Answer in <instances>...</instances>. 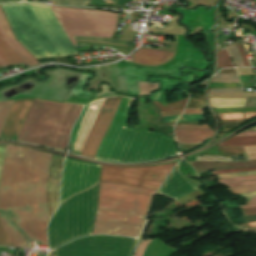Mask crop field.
Returning <instances> with one entry per match:
<instances>
[{
    "mask_svg": "<svg viewBox=\"0 0 256 256\" xmlns=\"http://www.w3.org/2000/svg\"><path fill=\"white\" fill-rule=\"evenodd\" d=\"M52 156L7 145L0 180V220L14 246L32 248L30 240L48 246L46 186Z\"/></svg>",
    "mask_w": 256,
    "mask_h": 256,
    "instance_id": "crop-field-1",
    "label": "crop field"
},
{
    "mask_svg": "<svg viewBox=\"0 0 256 256\" xmlns=\"http://www.w3.org/2000/svg\"><path fill=\"white\" fill-rule=\"evenodd\" d=\"M99 188L153 196L145 188L99 182ZM94 187L72 196L60 205L48 227L50 249L78 237L95 234L93 220L96 209L147 214L152 197L115 192ZM96 210L94 221L126 223L143 226L147 215Z\"/></svg>",
    "mask_w": 256,
    "mask_h": 256,
    "instance_id": "crop-field-2",
    "label": "crop field"
},
{
    "mask_svg": "<svg viewBox=\"0 0 256 256\" xmlns=\"http://www.w3.org/2000/svg\"><path fill=\"white\" fill-rule=\"evenodd\" d=\"M1 6L17 40L36 58L77 53L49 5L22 3Z\"/></svg>",
    "mask_w": 256,
    "mask_h": 256,
    "instance_id": "crop-field-3",
    "label": "crop field"
},
{
    "mask_svg": "<svg viewBox=\"0 0 256 256\" xmlns=\"http://www.w3.org/2000/svg\"><path fill=\"white\" fill-rule=\"evenodd\" d=\"M130 100L122 98L94 159L111 162H143L177 154L175 143L168 136L123 127Z\"/></svg>",
    "mask_w": 256,
    "mask_h": 256,
    "instance_id": "crop-field-4",
    "label": "crop field"
},
{
    "mask_svg": "<svg viewBox=\"0 0 256 256\" xmlns=\"http://www.w3.org/2000/svg\"><path fill=\"white\" fill-rule=\"evenodd\" d=\"M82 108L83 106L36 99L17 140L65 149Z\"/></svg>",
    "mask_w": 256,
    "mask_h": 256,
    "instance_id": "crop-field-5",
    "label": "crop field"
},
{
    "mask_svg": "<svg viewBox=\"0 0 256 256\" xmlns=\"http://www.w3.org/2000/svg\"><path fill=\"white\" fill-rule=\"evenodd\" d=\"M50 7L53 11L58 12L118 17V14L103 11L60 8L54 6ZM58 12H54V14L58 18L73 45H76V42L74 41L72 35L101 36L111 38L117 26V18Z\"/></svg>",
    "mask_w": 256,
    "mask_h": 256,
    "instance_id": "crop-field-6",
    "label": "crop field"
},
{
    "mask_svg": "<svg viewBox=\"0 0 256 256\" xmlns=\"http://www.w3.org/2000/svg\"><path fill=\"white\" fill-rule=\"evenodd\" d=\"M136 238L91 236L54 250L55 256H132Z\"/></svg>",
    "mask_w": 256,
    "mask_h": 256,
    "instance_id": "crop-field-7",
    "label": "crop field"
},
{
    "mask_svg": "<svg viewBox=\"0 0 256 256\" xmlns=\"http://www.w3.org/2000/svg\"><path fill=\"white\" fill-rule=\"evenodd\" d=\"M148 167H116L102 165L100 181L127 184L158 190L176 164Z\"/></svg>",
    "mask_w": 256,
    "mask_h": 256,
    "instance_id": "crop-field-8",
    "label": "crop field"
},
{
    "mask_svg": "<svg viewBox=\"0 0 256 256\" xmlns=\"http://www.w3.org/2000/svg\"><path fill=\"white\" fill-rule=\"evenodd\" d=\"M101 165L65 159L60 203L98 182Z\"/></svg>",
    "mask_w": 256,
    "mask_h": 256,
    "instance_id": "crop-field-9",
    "label": "crop field"
},
{
    "mask_svg": "<svg viewBox=\"0 0 256 256\" xmlns=\"http://www.w3.org/2000/svg\"><path fill=\"white\" fill-rule=\"evenodd\" d=\"M122 97H113L105 100L95 122L92 127V130L85 142L82 156L88 158H94L96 150L105 135L110 122L113 118V115L116 111V108Z\"/></svg>",
    "mask_w": 256,
    "mask_h": 256,
    "instance_id": "crop-field-10",
    "label": "crop field"
},
{
    "mask_svg": "<svg viewBox=\"0 0 256 256\" xmlns=\"http://www.w3.org/2000/svg\"><path fill=\"white\" fill-rule=\"evenodd\" d=\"M0 21L2 26L10 40V42L32 63H38L14 38L10 27L4 17V14L0 8ZM0 24V51L13 63H26L32 65L8 40L3 28ZM0 52V65H11L12 63Z\"/></svg>",
    "mask_w": 256,
    "mask_h": 256,
    "instance_id": "crop-field-11",
    "label": "crop field"
},
{
    "mask_svg": "<svg viewBox=\"0 0 256 256\" xmlns=\"http://www.w3.org/2000/svg\"><path fill=\"white\" fill-rule=\"evenodd\" d=\"M103 101L104 99L95 100L85 106L78 122L72 131L71 148L73 152L80 155L83 144Z\"/></svg>",
    "mask_w": 256,
    "mask_h": 256,
    "instance_id": "crop-field-12",
    "label": "crop field"
},
{
    "mask_svg": "<svg viewBox=\"0 0 256 256\" xmlns=\"http://www.w3.org/2000/svg\"><path fill=\"white\" fill-rule=\"evenodd\" d=\"M34 99L15 100L5 121L0 139H17L20 127Z\"/></svg>",
    "mask_w": 256,
    "mask_h": 256,
    "instance_id": "crop-field-13",
    "label": "crop field"
},
{
    "mask_svg": "<svg viewBox=\"0 0 256 256\" xmlns=\"http://www.w3.org/2000/svg\"><path fill=\"white\" fill-rule=\"evenodd\" d=\"M196 189L197 187L183 175L179 164H177L175 169L160 187L158 194L177 200Z\"/></svg>",
    "mask_w": 256,
    "mask_h": 256,
    "instance_id": "crop-field-14",
    "label": "crop field"
},
{
    "mask_svg": "<svg viewBox=\"0 0 256 256\" xmlns=\"http://www.w3.org/2000/svg\"><path fill=\"white\" fill-rule=\"evenodd\" d=\"M96 234H117L137 237L142 229L140 226L94 222Z\"/></svg>",
    "mask_w": 256,
    "mask_h": 256,
    "instance_id": "crop-field-15",
    "label": "crop field"
},
{
    "mask_svg": "<svg viewBox=\"0 0 256 256\" xmlns=\"http://www.w3.org/2000/svg\"><path fill=\"white\" fill-rule=\"evenodd\" d=\"M173 53L141 48L132 55L133 61L143 64H160L171 59Z\"/></svg>",
    "mask_w": 256,
    "mask_h": 256,
    "instance_id": "crop-field-16",
    "label": "crop field"
},
{
    "mask_svg": "<svg viewBox=\"0 0 256 256\" xmlns=\"http://www.w3.org/2000/svg\"><path fill=\"white\" fill-rule=\"evenodd\" d=\"M214 130H175L179 143L201 144L205 139L211 138Z\"/></svg>",
    "mask_w": 256,
    "mask_h": 256,
    "instance_id": "crop-field-17",
    "label": "crop field"
},
{
    "mask_svg": "<svg viewBox=\"0 0 256 256\" xmlns=\"http://www.w3.org/2000/svg\"><path fill=\"white\" fill-rule=\"evenodd\" d=\"M195 169L196 172H202L206 170H220V169H230V168H247L256 166L255 161L241 162V163H221V162H188Z\"/></svg>",
    "mask_w": 256,
    "mask_h": 256,
    "instance_id": "crop-field-18",
    "label": "crop field"
},
{
    "mask_svg": "<svg viewBox=\"0 0 256 256\" xmlns=\"http://www.w3.org/2000/svg\"><path fill=\"white\" fill-rule=\"evenodd\" d=\"M210 104L214 108H228V107H244L246 104V98L241 99H219L209 98Z\"/></svg>",
    "mask_w": 256,
    "mask_h": 256,
    "instance_id": "crop-field-19",
    "label": "crop field"
},
{
    "mask_svg": "<svg viewBox=\"0 0 256 256\" xmlns=\"http://www.w3.org/2000/svg\"><path fill=\"white\" fill-rule=\"evenodd\" d=\"M218 182H219V184H225L228 188L249 185V184L256 183V175L231 178V179H225V180H218Z\"/></svg>",
    "mask_w": 256,
    "mask_h": 256,
    "instance_id": "crop-field-20",
    "label": "crop field"
},
{
    "mask_svg": "<svg viewBox=\"0 0 256 256\" xmlns=\"http://www.w3.org/2000/svg\"><path fill=\"white\" fill-rule=\"evenodd\" d=\"M228 190L231 191L234 194H237V195L255 193L256 192V185H249V186L231 188V189H228ZM251 207H256V198L249 199L248 202H247V205L240 206V209L251 208Z\"/></svg>",
    "mask_w": 256,
    "mask_h": 256,
    "instance_id": "crop-field-21",
    "label": "crop field"
},
{
    "mask_svg": "<svg viewBox=\"0 0 256 256\" xmlns=\"http://www.w3.org/2000/svg\"><path fill=\"white\" fill-rule=\"evenodd\" d=\"M218 145L224 146H234V145H256V136L253 137H239V138H231L223 143Z\"/></svg>",
    "mask_w": 256,
    "mask_h": 256,
    "instance_id": "crop-field-22",
    "label": "crop field"
},
{
    "mask_svg": "<svg viewBox=\"0 0 256 256\" xmlns=\"http://www.w3.org/2000/svg\"><path fill=\"white\" fill-rule=\"evenodd\" d=\"M186 100H181L173 104L160 105L158 102L152 101L161 111L183 110L186 104Z\"/></svg>",
    "mask_w": 256,
    "mask_h": 256,
    "instance_id": "crop-field-23",
    "label": "crop field"
},
{
    "mask_svg": "<svg viewBox=\"0 0 256 256\" xmlns=\"http://www.w3.org/2000/svg\"><path fill=\"white\" fill-rule=\"evenodd\" d=\"M227 47H228V49L231 53L234 66L235 67H244L243 62H242V58L239 54V51H238L236 45L235 44H230V45H227Z\"/></svg>",
    "mask_w": 256,
    "mask_h": 256,
    "instance_id": "crop-field-24",
    "label": "crop field"
},
{
    "mask_svg": "<svg viewBox=\"0 0 256 256\" xmlns=\"http://www.w3.org/2000/svg\"><path fill=\"white\" fill-rule=\"evenodd\" d=\"M211 82H240L237 74H217Z\"/></svg>",
    "mask_w": 256,
    "mask_h": 256,
    "instance_id": "crop-field-25",
    "label": "crop field"
},
{
    "mask_svg": "<svg viewBox=\"0 0 256 256\" xmlns=\"http://www.w3.org/2000/svg\"><path fill=\"white\" fill-rule=\"evenodd\" d=\"M233 67L229 60V53L227 50L218 52V68Z\"/></svg>",
    "mask_w": 256,
    "mask_h": 256,
    "instance_id": "crop-field-26",
    "label": "crop field"
},
{
    "mask_svg": "<svg viewBox=\"0 0 256 256\" xmlns=\"http://www.w3.org/2000/svg\"><path fill=\"white\" fill-rule=\"evenodd\" d=\"M74 38H75V40H100V41L117 43V44H123V45H129V42H130V41L117 40V39H107V38H100V37H79V36H74Z\"/></svg>",
    "mask_w": 256,
    "mask_h": 256,
    "instance_id": "crop-field-27",
    "label": "crop field"
},
{
    "mask_svg": "<svg viewBox=\"0 0 256 256\" xmlns=\"http://www.w3.org/2000/svg\"><path fill=\"white\" fill-rule=\"evenodd\" d=\"M59 5H78L85 6L90 0H50Z\"/></svg>",
    "mask_w": 256,
    "mask_h": 256,
    "instance_id": "crop-field-28",
    "label": "crop field"
},
{
    "mask_svg": "<svg viewBox=\"0 0 256 256\" xmlns=\"http://www.w3.org/2000/svg\"><path fill=\"white\" fill-rule=\"evenodd\" d=\"M0 245L13 246L10 240L8 239L7 235L5 234L1 223H0Z\"/></svg>",
    "mask_w": 256,
    "mask_h": 256,
    "instance_id": "crop-field-29",
    "label": "crop field"
},
{
    "mask_svg": "<svg viewBox=\"0 0 256 256\" xmlns=\"http://www.w3.org/2000/svg\"><path fill=\"white\" fill-rule=\"evenodd\" d=\"M222 120L244 119L243 113L219 114Z\"/></svg>",
    "mask_w": 256,
    "mask_h": 256,
    "instance_id": "crop-field-30",
    "label": "crop field"
},
{
    "mask_svg": "<svg viewBox=\"0 0 256 256\" xmlns=\"http://www.w3.org/2000/svg\"><path fill=\"white\" fill-rule=\"evenodd\" d=\"M175 129H210L207 124L204 125H176Z\"/></svg>",
    "mask_w": 256,
    "mask_h": 256,
    "instance_id": "crop-field-31",
    "label": "crop field"
},
{
    "mask_svg": "<svg viewBox=\"0 0 256 256\" xmlns=\"http://www.w3.org/2000/svg\"><path fill=\"white\" fill-rule=\"evenodd\" d=\"M252 170H256V167H254V168H247V169H231V170L212 171V173H213V175H215V174L243 172V171H252Z\"/></svg>",
    "mask_w": 256,
    "mask_h": 256,
    "instance_id": "crop-field-32",
    "label": "crop field"
},
{
    "mask_svg": "<svg viewBox=\"0 0 256 256\" xmlns=\"http://www.w3.org/2000/svg\"><path fill=\"white\" fill-rule=\"evenodd\" d=\"M232 92H243L241 88L235 89H210L209 93H232Z\"/></svg>",
    "mask_w": 256,
    "mask_h": 256,
    "instance_id": "crop-field-33",
    "label": "crop field"
},
{
    "mask_svg": "<svg viewBox=\"0 0 256 256\" xmlns=\"http://www.w3.org/2000/svg\"><path fill=\"white\" fill-rule=\"evenodd\" d=\"M253 174H256V171L247 172V173L217 175V177L218 179H220V178H231V177H238V176H245V175H253Z\"/></svg>",
    "mask_w": 256,
    "mask_h": 256,
    "instance_id": "crop-field-34",
    "label": "crop field"
},
{
    "mask_svg": "<svg viewBox=\"0 0 256 256\" xmlns=\"http://www.w3.org/2000/svg\"><path fill=\"white\" fill-rule=\"evenodd\" d=\"M152 240H153V239L143 241V242L141 243V245L138 247L135 256H142L146 245L149 244Z\"/></svg>",
    "mask_w": 256,
    "mask_h": 256,
    "instance_id": "crop-field-35",
    "label": "crop field"
},
{
    "mask_svg": "<svg viewBox=\"0 0 256 256\" xmlns=\"http://www.w3.org/2000/svg\"><path fill=\"white\" fill-rule=\"evenodd\" d=\"M237 46H238L239 51H240V53H241V56H242V58H243L245 67H249L248 59H247V57H246V54H245V52H244L243 47H242L241 45H237Z\"/></svg>",
    "mask_w": 256,
    "mask_h": 256,
    "instance_id": "crop-field-36",
    "label": "crop field"
},
{
    "mask_svg": "<svg viewBox=\"0 0 256 256\" xmlns=\"http://www.w3.org/2000/svg\"><path fill=\"white\" fill-rule=\"evenodd\" d=\"M244 216L256 214V208L241 210Z\"/></svg>",
    "mask_w": 256,
    "mask_h": 256,
    "instance_id": "crop-field-37",
    "label": "crop field"
},
{
    "mask_svg": "<svg viewBox=\"0 0 256 256\" xmlns=\"http://www.w3.org/2000/svg\"><path fill=\"white\" fill-rule=\"evenodd\" d=\"M247 106L246 107H255L256 106V98H247Z\"/></svg>",
    "mask_w": 256,
    "mask_h": 256,
    "instance_id": "crop-field-38",
    "label": "crop field"
},
{
    "mask_svg": "<svg viewBox=\"0 0 256 256\" xmlns=\"http://www.w3.org/2000/svg\"><path fill=\"white\" fill-rule=\"evenodd\" d=\"M202 113V109H186L183 114Z\"/></svg>",
    "mask_w": 256,
    "mask_h": 256,
    "instance_id": "crop-field-39",
    "label": "crop field"
},
{
    "mask_svg": "<svg viewBox=\"0 0 256 256\" xmlns=\"http://www.w3.org/2000/svg\"><path fill=\"white\" fill-rule=\"evenodd\" d=\"M182 111L162 112L161 116L181 114Z\"/></svg>",
    "mask_w": 256,
    "mask_h": 256,
    "instance_id": "crop-field-40",
    "label": "crop field"
},
{
    "mask_svg": "<svg viewBox=\"0 0 256 256\" xmlns=\"http://www.w3.org/2000/svg\"><path fill=\"white\" fill-rule=\"evenodd\" d=\"M248 135H256V132L255 131L243 132L237 136H248ZM237 136H235V137H237Z\"/></svg>",
    "mask_w": 256,
    "mask_h": 256,
    "instance_id": "crop-field-41",
    "label": "crop field"
},
{
    "mask_svg": "<svg viewBox=\"0 0 256 256\" xmlns=\"http://www.w3.org/2000/svg\"><path fill=\"white\" fill-rule=\"evenodd\" d=\"M256 117V112L255 113H245V119Z\"/></svg>",
    "mask_w": 256,
    "mask_h": 256,
    "instance_id": "crop-field-42",
    "label": "crop field"
},
{
    "mask_svg": "<svg viewBox=\"0 0 256 256\" xmlns=\"http://www.w3.org/2000/svg\"><path fill=\"white\" fill-rule=\"evenodd\" d=\"M249 227L256 226V222L248 223Z\"/></svg>",
    "mask_w": 256,
    "mask_h": 256,
    "instance_id": "crop-field-43",
    "label": "crop field"
},
{
    "mask_svg": "<svg viewBox=\"0 0 256 256\" xmlns=\"http://www.w3.org/2000/svg\"><path fill=\"white\" fill-rule=\"evenodd\" d=\"M11 1H17V0H0V3L1 2H11Z\"/></svg>",
    "mask_w": 256,
    "mask_h": 256,
    "instance_id": "crop-field-44",
    "label": "crop field"
},
{
    "mask_svg": "<svg viewBox=\"0 0 256 256\" xmlns=\"http://www.w3.org/2000/svg\"><path fill=\"white\" fill-rule=\"evenodd\" d=\"M256 130V128H254Z\"/></svg>",
    "mask_w": 256,
    "mask_h": 256,
    "instance_id": "crop-field-45",
    "label": "crop field"
}]
</instances>
